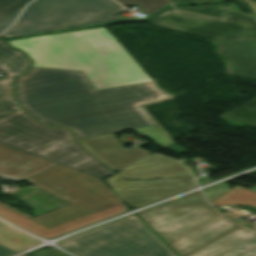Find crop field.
<instances>
[{
  "mask_svg": "<svg viewBox=\"0 0 256 256\" xmlns=\"http://www.w3.org/2000/svg\"><path fill=\"white\" fill-rule=\"evenodd\" d=\"M16 91L23 110L77 139L154 125L141 106L170 97L153 82L95 91L83 72L36 67Z\"/></svg>",
  "mask_w": 256,
  "mask_h": 256,
  "instance_id": "1",
  "label": "crop field"
},
{
  "mask_svg": "<svg viewBox=\"0 0 256 256\" xmlns=\"http://www.w3.org/2000/svg\"><path fill=\"white\" fill-rule=\"evenodd\" d=\"M33 66L83 71L95 90L152 81L105 27L9 41Z\"/></svg>",
  "mask_w": 256,
  "mask_h": 256,
  "instance_id": "2",
  "label": "crop field"
},
{
  "mask_svg": "<svg viewBox=\"0 0 256 256\" xmlns=\"http://www.w3.org/2000/svg\"><path fill=\"white\" fill-rule=\"evenodd\" d=\"M26 181L71 204L32 219L0 202L1 218L43 238L130 211L102 180L60 164Z\"/></svg>",
  "mask_w": 256,
  "mask_h": 256,
  "instance_id": "3",
  "label": "crop field"
},
{
  "mask_svg": "<svg viewBox=\"0 0 256 256\" xmlns=\"http://www.w3.org/2000/svg\"><path fill=\"white\" fill-rule=\"evenodd\" d=\"M139 215L180 256H256V232L210 204L157 206Z\"/></svg>",
  "mask_w": 256,
  "mask_h": 256,
  "instance_id": "4",
  "label": "crop field"
},
{
  "mask_svg": "<svg viewBox=\"0 0 256 256\" xmlns=\"http://www.w3.org/2000/svg\"><path fill=\"white\" fill-rule=\"evenodd\" d=\"M0 142L99 179L114 174L93 159L72 132L41 125L21 110L0 118Z\"/></svg>",
  "mask_w": 256,
  "mask_h": 256,
  "instance_id": "5",
  "label": "crop field"
},
{
  "mask_svg": "<svg viewBox=\"0 0 256 256\" xmlns=\"http://www.w3.org/2000/svg\"><path fill=\"white\" fill-rule=\"evenodd\" d=\"M148 22L225 41L224 58L233 60L232 74L256 78L255 18L231 11L227 21H220L172 7Z\"/></svg>",
  "mask_w": 256,
  "mask_h": 256,
  "instance_id": "6",
  "label": "crop field"
},
{
  "mask_svg": "<svg viewBox=\"0 0 256 256\" xmlns=\"http://www.w3.org/2000/svg\"><path fill=\"white\" fill-rule=\"evenodd\" d=\"M76 256H177L135 214L58 242Z\"/></svg>",
  "mask_w": 256,
  "mask_h": 256,
  "instance_id": "7",
  "label": "crop field"
},
{
  "mask_svg": "<svg viewBox=\"0 0 256 256\" xmlns=\"http://www.w3.org/2000/svg\"><path fill=\"white\" fill-rule=\"evenodd\" d=\"M127 11L112 0H36L3 37H17L90 24L120 21Z\"/></svg>",
  "mask_w": 256,
  "mask_h": 256,
  "instance_id": "8",
  "label": "crop field"
},
{
  "mask_svg": "<svg viewBox=\"0 0 256 256\" xmlns=\"http://www.w3.org/2000/svg\"><path fill=\"white\" fill-rule=\"evenodd\" d=\"M105 181L133 209L196 187L193 179L126 181L119 173Z\"/></svg>",
  "mask_w": 256,
  "mask_h": 256,
  "instance_id": "9",
  "label": "crop field"
},
{
  "mask_svg": "<svg viewBox=\"0 0 256 256\" xmlns=\"http://www.w3.org/2000/svg\"><path fill=\"white\" fill-rule=\"evenodd\" d=\"M57 163L40 158L0 143V177L13 180H26Z\"/></svg>",
  "mask_w": 256,
  "mask_h": 256,
  "instance_id": "10",
  "label": "crop field"
},
{
  "mask_svg": "<svg viewBox=\"0 0 256 256\" xmlns=\"http://www.w3.org/2000/svg\"><path fill=\"white\" fill-rule=\"evenodd\" d=\"M113 134L80 139L79 141L94 156L117 172L150 155V153H146L134 147H121L117 144Z\"/></svg>",
  "mask_w": 256,
  "mask_h": 256,
  "instance_id": "11",
  "label": "crop field"
},
{
  "mask_svg": "<svg viewBox=\"0 0 256 256\" xmlns=\"http://www.w3.org/2000/svg\"><path fill=\"white\" fill-rule=\"evenodd\" d=\"M125 179L191 177L178 162L150 155L119 172Z\"/></svg>",
  "mask_w": 256,
  "mask_h": 256,
  "instance_id": "12",
  "label": "crop field"
},
{
  "mask_svg": "<svg viewBox=\"0 0 256 256\" xmlns=\"http://www.w3.org/2000/svg\"><path fill=\"white\" fill-rule=\"evenodd\" d=\"M32 62L20 51L9 47L6 41L0 40V68L8 75L10 93L14 103L13 79L25 73Z\"/></svg>",
  "mask_w": 256,
  "mask_h": 256,
  "instance_id": "13",
  "label": "crop field"
},
{
  "mask_svg": "<svg viewBox=\"0 0 256 256\" xmlns=\"http://www.w3.org/2000/svg\"><path fill=\"white\" fill-rule=\"evenodd\" d=\"M38 243L39 240L0 221V245L19 252Z\"/></svg>",
  "mask_w": 256,
  "mask_h": 256,
  "instance_id": "14",
  "label": "crop field"
},
{
  "mask_svg": "<svg viewBox=\"0 0 256 256\" xmlns=\"http://www.w3.org/2000/svg\"><path fill=\"white\" fill-rule=\"evenodd\" d=\"M211 203L219 206L223 204H237L256 207V193L236 186Z\"/></svg>",
  "mask_w": 256,
  "mask_h": 256,
  "instance_id": "15",
  "label": "crop field"
},
{
  "mask_svg": "<svg viewBox=\"0 0 256 256\" xmlns=\"http://www.w3.org/2000/svg\"><path fill=\"white\" fill-rule=\"evenodd\" d=\"M177 9L189 11L197 14H202L206 16H211L219 19H224V13L227 10H230L228 8L222 7L220 5H214V6H201L198 8H192L188 6H178Z\"/></svg>",
  "mask_w": 256,
  "mask_h": 256,
  "instance_id": "16",
  "label": "crop field"
},
{
  "mask_svg": "<svg viewBox=\"0 0 256 256\" xmlns=\"http://www.w3.org/2000/svg\"><path fill=\"white\" fill-rule=\"evenodd\" d=\"M19 110L18 106L10 101L7 78L0 80V117Z\"/></svg>",
  "mask_w": 256,
  "mask_h": 256,
  "instance_id": "17",
  "label": "crop field"
},
{
  "mask_svg": "<svg viewBox=\"0 0 256 256\" xmlns=\"http://www.w3.org/2000/svg\"><path fill=\"white\" fill-rule=\"evenodd\" d=\"M124 6L138 4L149 16L161 7L169 4L167 0H117Z\"/></svg>",
  "mask_w": 256,
  "mask_h": 256,
  "instance_id": "18",
  "label": "crop field"
},
{
  "mask_svg": "<svg viewBox=\"0 0 256 256\" xmlns=\"http://www.w3.org/2000/svg\"><path fill=\"white\" fill-rule=\"evenodd\" d=\"M133 131L139 134L143 133L149 138V140L161 146L170 142L169 138L162 132V130L157 125L133 129Z\"/></svg>",
  "mask_w": 256,
  "mask_h": 256,
  "instance_id": "19",
  "label": "crop field"
},
{
  "mask_svg": "<svg viewBox=\"0 0 256 256\" xmlns=\"http://www.w3.org/2000/svg\"><path fill=\"white\" fill-rule=\"evenodd\" d=\"M29 0H0V20L24 6Z\"/></svg>",
  "mask_w": 256,
  "mask_h": 256,
  "instance_id": "20",
  "label": "crop field"
},
{
  "mask_svg": "<svg viewBox=\"0 0 256 256\" xmlns=\"http://www.w3.org/2000/svg\"><path fill=\"white\" fill-rule=\"evenodd\" d=\"M196 203H206L200 192L191 194L189 196L171 201L169 203L163 205H171V204H196Z\"/></svg>",
  "mask_w": 256,
  "mask_h": 256,
  "instance_id": "21",
  "label": "crop field"
},
{
  "mask_svg": "<svg viewBox=\"0 0 256 256\" xmlns=\"http://www.w3.org/2000/svg\"><path fill=\"white\" fill-rule=\"evenodd\" d=\"M20 10L21 9L15 11L11 15L0 21V32L5 30L14 21L15 17L17 16Z\"/></svg>",
  "mask_w": 256,
  "mask_h": 256,
  "instance_id": "22",
  "label": "crop field"
},
{
  "mask_svg": "<svg viewBox=\"0 0 256 256\" xmlns=\"http://www.w3.org/2000/svg\"><path fill=\"white\" fill-rule=\"evenodd\" d=\"M14 253H16V252H14L10 249H7L5 247L0 246V256H10Z\"/></svg>",
  "mask_w": 256,
  "mask_h": 256,
  "instance_id": "23",
  "label": "crop field"
},
{
  "mask_svg": "<svg viewBox=\"0 0 256 256\" xmlns=\"http://www.w3.org/2000/svg\"><path fill=\"white\" fill-rule=\"evenodd\" d=\"M173 3H181V2H190V1H197V2H216L218 0H171Z\"/></svg>",
  "mask_w": 256,
  "mask_h": 256,
  "instance_id": "24",
  "label": "crop field"
},
{
  "mask_svg": "<svg viewBox=\"0 0 256 256\" xmlns=\"http://www.w3.org/2000/svg\"><path fill=\"white\" fill-rule=\"evenodd\" d=\"M255 12H256V2L253 0H244Z\"/></svg>",
  "mask_w": 256,
  "mask_h": 256,
  "instance_id": "25",
  "label": "crop field"
},
{
  "mask_svg": "<svg viewBox=\"0 0 256 256\" xmlns=\"http://www.w3.org/2000/svg\"><path fill=\"white\" fill-rule=\"evenodd\" d=\"M253 191H256V188H255V189H253Z\"/></svg>",
  "mask_w": 256,
  "mask_h": 256,
  "instance_id": "26",
  "label": "crop field"
},
{
  "mask_svg": "<svg viewBox=\"0 0 256 256\" xmlns=\"http://www.w3.org/2000/svg\"><path fill=\"white\" fill-rule=\"evenodd\" d=\"M24 256H26V255H24Z\"/></svg>",
  "mask_w": 256,
  "mask_h": 256,
  "instance_id": "27",
  "label": "crop field"
}]
</instances>
